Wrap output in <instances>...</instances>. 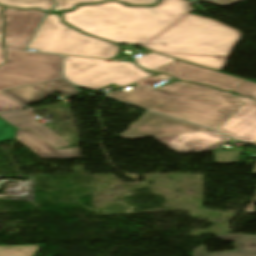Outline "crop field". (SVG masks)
<instances>
[{
  "mask_svg": "<svg viewBox=\"0 0 256 256\" xmlns=\"http://www.w3.org/2000/svg\"><path fill=\"white\" fill-rule=\"evenodd\" d=\"M184 0H161L153 8L111 1L61 13L63 22L111 43H137L152 51L221 71L241 33L196 16Z\"/></svg>",
  "mask_w": 256,
  "mask_h": 256,
  "instance_id": "8a807250",
  "label": "crop field"
},
{
  "mask_svg": "<svg viewBox=\"0 0 256 256\" xmlns=\"http://www.w3.org/2000/svg\"><path fill=\"white\" fill-rule=\"evenodd\" d=\"M109 96L212 129L219 127L242 105L231 93L186 82L158 89L139 85L127 92L117 91Z\"/></svg>",
  "mask_w": 256,
  "mask_h": 256,
  "instance_id": "ac0d7876",
  "label": "crop field"
},
{
  "mask_svg": "<svg viewBox=\"0 0 256 256\" xmlns=\"http://www.w3.org/2000/svg\"><path fill=\"white\" fill-rule=\"evenodd\" d=\"M27 48L40 52L111 59L119 48L85 36L61 23L58 14H48Z\"/></svg>",
  "mask_w": 256,
  "mask_h": 256,
  "instance_id": "34b2d1b8",
  "label": "crop field"
},
{
  "mask_svg": "<svg viewBox=\"0 0 256 256\" xmlns=\"http://www.w3.org/2000/svg\"><path fill=\"white\" fill-rule=\"evenodd\" d=\"M5 52L7 63L0 66V91L61 77V56ZM25 108L0 93V112Z\"/></svg>",
  "mask_w": 256,
  "mask_h": 256,
  "instance_id": "412701ff",
  "label": "crop field"
},
{
  "mask_svg": "<svg viewBox=\"0 0 256 256\" xmlns=\"http://www.w3.org/2000/svg\"><path fill=\"white\" fill-rule=\"evenodd\" d=\"M143 72L131 61L121 63L65 57L64 62V77L68 81L95 90Z\"/></svg>",
  "mask_w": 256,
  "mask_h": 256,
  "instance_id": "f4fd0767",
  "label": "crop field"
},
{
  "mask_svg": "<svg viewBox=\"0 0 256 256\" xmlns=\"http://www.w3.org/2000/svg\"><path fill=\"white\" fill-rule=\"evenodd\" d=\"M199 130H206V128L147 111L119 137L131 140Z\"/></svg>",
  "mask_w": 256,
  "mask_h": 256,
  "instance_id": "dd49c442",
  "label": "crop field"
},
{
  "mask_svg": "<svg viewBox=\"0 0 256 256\" xmlns=\"http://www.w3.org/2000/svg\"><path fill=\"white\" fill-rule=\"evenodd\" d=\"M4 47L24 50L28 40L45 13L37 10L6 9Z\"/></svg>",
  "mask_w": 256,
  "mask_h": 256,
  "instance_id": "e52e79f7",
  "label": "crop field"
},
{
  "mask_svg": "<svg viewBox=\"0 0 256 256\" xmlns=\"http://www.w3.org/2000/svg\"><path fill=\"white\" fill-rule=\"evenodd\" d=\"M152 71L167 73L180 80L202 83L212 87H216L220 90L228 91H231L240 83L245 81L243 79L202 69L180 61H174Z\"/></svg>",
  "mask_w": 256,
  "mask_h": 256,
  "instance_id": "d8731c3e",
  "label": "crop field"
},
{
  "mask_svg": "<svg viewBox=\"0 0 256 256\" xmlns=\"http://www.w3.org/2000/svg\"><path fill=\"white\" fill-rule=\"evenodd\" d=\"M243 105L217 131L239 141L256 142V102L235 95Z\"/></svg>",
  "mask_w": 256,
  "mask_h": 256,
  "instance_id": "5a996713",
  "label": "crop field"
},
{
  "mask_svg": "<svg viewBox=\"0 0 256 256\" xmlns=\"http://www.w3.org/2000/svg\"><path fill=\"white\" fill-rule=\"evenodd\" d=\"M0 118L17 129H30L55 149L70 145L45 125L38 123L31 110L2 114Z\"/></svg>",
  "mask_w": 256,
  "mask_h": 256,
  "instance_id": "3316defc",
  "label": "crop field"
},
{
  "mask_svg": "<svg viewBox=\"0 0 256 256\" xmlns=\"http://www.w3.org/2000/svg\"><path fill=\"white\" fill-rule=\"evenodd\" d=\"M230 139L211 130L192 132L180 135L169 145L182 148L180 153L213 151Z\"/></svg>",
  "mask_w": 256,
  "mask_h": 256,
  "instance_id": "28ad6ade",
  "label": "crop field"
},
{
  "mask_svg": "<svg viewBox=\"0 0 256 256\" xmlns=\"http://www.w3.org/2000/svg\"><path fill=\"white\" fill-rule=\"evenodd\" d=\"M217 237L234 241L236 251L207 254L204 247L200 246L194 250L193 256H256V236L237 234L220 235Z\"/></svg>",
  "mask_w": 256,
  "mask_h": 256,
  "instance_id": "d1516ede",
  "label": "crop field"
},
{
  "mask_svg": "<svg viewBox=\"0 0 256 256\" xmlns=\"http://www.w3.org/2000/svg\"><path fill=\"white\" fill-rule=\"evenodd\" d=\"M22 144H24L31 151L41 157L46 158H60V157H80L79 153H60L52 148L39 136L35 135L28 129L18 130L16 137Z\"/></svg>",
  "mask_w": 256,
  "mask_h": 256,
  "instance_id": "22f410ed",
  "label": "crop field"
},
{
  "mask_svg": "<svg viewBox=\"0 0 256 256\" xmlns=\"http://www.w3.org/2000/svg\"><path fill=\"white\" fill-rule=\"evenodd\" d=\"M7 96L27 105L29 103L40 102L44 100L49 94L33 87H23L14 90L4 91Z\"/></svg>",
  "mask_w": 256,
  "mask_h": 256,
  "instance_id": "cbeb9de0",
  "label": "crop field"
},
{
  "mask_svg": "<svg viewBox=\"0 0 256 256\" xmlns=\"http://www.w3.org/2000/svg\"><path fill=\"white\" fill-rule=\"evenodd\" d=\"M105 0H56L58 6L52 11L72 10L77 4L98 3ZM128 5H154L158 0H119Z\"/></svg>",
  "mask_w": 256,
  "mask_h": 256,
  "instance_id": "5142ce71",
  "label": "crop field"
},
{
  "mask_svg": "<svg viewBox=\"0 0 256 256\" xmlns=\"http://www.w3.org/2000/svg\"><path fill=\"white\" fill-rule=\"evenodd\" d=\"M0 5L14 8H39L49 10L54 6L53 0H0Z\"/></svg>",
  "mask_w": 256,
  "mask_h": 256,
  "instance_id": "d9b57169",
  "label": "crop field"
},
{
  "mask_svg": "<svg viewBox=\"0 0 256 256\" xmlns=\"http://www.w3.org/2000/svg\"><path fill=\"white\" fill-rule=\"evenodd\" d=\"M34 86L49 94H52L56 91L67 96L74 95L77 93V91L68 82H66L63 79L46 82V83H42Z\"/></svg>",
  "mask_w": 256,
  "mask_h": 256,
  "instance_id": "733c2abd",
  "label": "crop field"
},
{
  "mask_svg": "<svg viewBox=\"0 0 256 256\" xmlns=\"http://www.w3.org/2000/svg\"><path fill=\"white\" fill-rule=\"evenodd\" d=\"M172 61L174 60L153 53L146 55L142 58H139L137 60H134V62L138 66L145 68L149 71Z\"/></svg>",
  "mask_w": 256,
  "mask_h": 256,
  "instance_id": "4a817a6b",
  "label": "crop field"
},
{
  "mask_svg": "<svg viewBox=\"0 0 256 256\" xmlns=\"http://www.w3.org/2000/svg\"><path fill=\"white\" fill-rule=\"evenodd\" d=\"M37 246H0V256H34Z\"/></svg>",
  "mask_w": 256,
  "mask_h": 256,
  "instance_id": "bc2a9ffb",
  "label": "crop field"
},
{
  "mask_svg": "<svg viewBox=\"0 0 256 256\" xmlns=\"http://www.w3.org/2000/svg\"><path fill=\"white\" fill-rule=\"evenodd\" d=\"M242 150L213 152L214 161L216 163H232L237 162Z\"/></svg>",
  "mask_w": 256,
  "mask_h": 256,
  "instance_id": "214f88e0",
  "label": "crop field"
},
{
  "mask_svg": "<svg viewBox=\"0 0 256 256\" xmlns=\"http://www.w3.org/2000/svg\"><path fill=\"white\" fill-rule=\"evenodd\" d=\"M233 91L243 96H250L256 100V84L254 83L246 81L237 88H235Z\"/></svg>",
  "mask_w": 256,
  "mask_h": 256,
  "instance_id": "92a150f3",
  "label": "crop field"
},
{
  "mask_svg": "<svg viewBox=\"0 0 256 256\" xmlns=\"http://www.w3.org/2000/svg\"><path fill=\"white\" fill-rule=\"evenodd\" d=\"M17 129L0 119V141L14 139Z\"/></svg>",
  "mask_w": 256,
  "mask_h": 256,
  "instance_id": "dafd665d",
  "label": "crop field"
},
{
  "mask_svg": "<svg viewBox=\"0 0 256 256\" xmlns=\"http://www.w3.org/2000/svg\"><path fill=\"white\" fill-rule=\"evenodd\" d=\"M179 135L180 134H178V135H170V136H162V137H156L155 139H157L158 141L162 142L166 146L174 149L175 151L179 152L181 150L180 148H176V147L167 145L168 143H170L172 140H174Z\"/></svg>",
  "mask_w": 256,
  "mask_h": 256,
  "instance_id": "00972430",
  "label": "crop field"
},
{
  "mask_svg": "<svg viewBox=\"0 0 256 256\" xmlns=\"http://www.w3.org/2000/svg\"><path fill=\"white\" fill-rule=\"evenodd\" d=\"M154 74H155V73H147V72H146V73H144V74L138 75V76L133 77V78H131V79H128V80H126V81L120 82V83H118L117 85H118V86H126V85H128V84H130V83L136 82V81H138V80L144 79V78L149 77V76L154 75Z\"/></svg>",
  "mask_w": 256,
  "mask_h": 256,
  "instance_id": "a9b5d70f",
  "label": "crop field"
},
{
  "mask_svg": "<svg viewBox=\"0 0 256 256\" xmlns=\"http://www.w3.org/2000/svg\"><path fill=\"white\" fill-rule=\"evenodd\" d=\"M201 1L213 3L215 5L225 7V6L240 2L242 0H201Z\"/></svg>",
  "mask_w": 256,
  "mask_h": 256,
  "instance_id": "4177f3b9",
  "label": "crop field"
},
{
  "mask_svg": "<svg viewBox=\"0 0 256 256\" xmlns=\"http://www.w3.org/2000/svg\"><path fill=\"white\" fill-rule=\"evenodd\" d=\"M1 8L2 7H0V11H1ZM2 30H3V20H2V17H1V13H0V47H3L2 46V41H1Z\"/></svg>",
  "mask_w": 256,
  "mask_h": 256,
  "instance_id": "730fd06b",
  "label": "crop field"
},
{
  "mask_svg": "<svg viewBox=\"0 0 256 256\" xmlns=\"http://www.w3.org/2000/svg\"><path fill=\"white\" fill-rule=\"evenodd\" d=\"M166 77H167V76L160 74V75H159L158 77H156V78L162 80V79H164V78H166ZM151 78H153V77H151ZM148 79H150V78L141 80V81H139V82H137V83H138V84H141L142 82H144V81H146V80H148ZM153 79H155V78H153Z\"/></svg>",
  "mask_w": 256,
  "mask_h": 256,
  "instance_id": "eef30255",
  "label": "crop field"
},
{
  "mask_svg": "<svg viewBox=\"0 0 256 256\" xmlns=\"http://www.w3.org/2000/svg\"><path fill=\"white\" fill-rule=\"evenodd\" d=\"M158 81H160V80H158V79H156V80L151 79V80H148V81H146V82H144V83H142V84L152 85V84H154V83H156V82H158Z\"/></svg>",
  "mask_w": 256,
  "mask_h": 256,
  "instance_id": "ae1a2a85",
  "label": "crop field"
},
{
  "mask_svg": "<svg viewBox=\"0 0 256 256\" xmlns=\"http://www.w3.org/2000/svg\"><path fill=\"white\" fill-rule=\"evenodd\" d=\"M4 62L3 52L0 50V64Z\"/></svg>",
  "mask_w": 256,
  "mask_h": 256,
  "instance_id": "d3111659",
  "label": "crop field"
},
{
  "mask_svg": "<svg viewBox=\"0 0 256 256\" xmlns=\"http://www.w3.org/2000/svg\"><path fill=\"white\" fill-rule=\"evenodd\" d=\"M252 173L256 174V165H255V168H254Z\"/></svg>",
  "mask_w": 256,
  "mask_h": 256,
  "instance_id": "750c4746",
  "label": "crop field"
},
{
  "mask_svg": "<svg viewBox=\"0 0 256 256\" xmlns=\"http://www.w3.org/2000/svg\"><path fill=\"white\" fill-rule=\"evenodd\" d=\"M254 145H256V143Z\"/></svg>",
  "mask_w": 256,
  "mask_h": 256,
  "instance_id": "bd1437ed",
  "label": "crop field"
}]
</instances>
